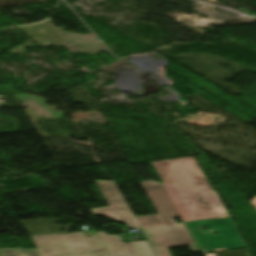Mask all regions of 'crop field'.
Here are the masks:
<instances>
[{
    "label": "crop field",
    "mask_w": 256,
    "mask_h": 256,
    "mask_svg": "<svg viewBox=\"0 0 256 256\" xmlns=\"http://www.w3.org/2000/svg\"><path fill=\"white\" fill-rule=\"evenodd\" d=\"M162 183L200 252L246 247L217 191L201 172L194 157L152 162ZM206 225L218 232L203 233Z\"/></svg>",
    "instance_id": "8a807250"
},
{
    "label": "crop field",
    "mask_w": 256,
    "mask_h": 256,
    "mask_svg": "<svg viewBox=\"0 0 256 256\" xmlns=\"http://www.w3.org/2000/svg\"><path fill=\"white\" fill-rule=\"evenodd\" d=\"M159 215L137 217L157 256H171L168 248L190 245L199 252L184 223H176L179 217L175 207L159 182H141ZM142 230V231H143Z\"/></svg>",
    "instance_id": "ac0d7876"
},
{
    "label": "crop field",
    "mask_w": 256,
    "mask_h": 256,
    "mask_svg": "<svg viewBox=\"0 0 256 256\" xmlns=\"http://www.w3.org/2000/svg\"><path fill=\"white\" fill-rule=\"evenodd\" d=\"M32 239L43 256H110L99 236L87 237L84 232L40 235Z\"/></svg>",
    "instance_id": "34b2d1b8"
},
{
    "label": "crop field",
    "mask_w": 256,
    "mask_h": 256,
    "mask_svg": "<svg viewBox=\"0 0 256 256\" xmlns=\"http://www.w3.org/2000/svg\"><path fill=\"white\" fill-rule=\"evenodd\" d=\"M95 182L109 207L91 209L93 215L104 214L130 228H138L113 181L95 180Z\"/></svg>",
    "instance_id": "412701ff"
},
{
    "label": "crop field",
    "mask_w": 256,
    "mask_h": 256,
    "mask_svg": "<svg viewBox=\"0 0 256 256\" xmlns=\"http://www.w3.org/2000/svg\"><path fill=\"white\" fill-rule=\"evenodd\" d=\"M98 234L111 256H154L145 241L123 244L119 235Z\"/></svg>",
    "instance_id": "f4fd0767"
},
{
    "label": "crop field",
    "mask_w": 256,
    "mask_h": 256,
    "mask_svg": "<svg viewBox=\"0 0 256 256\" xmlns=\"http://www.w3.org/2000/svg\"><path fill=\"white\" fill-rule=\"evenodd\" d=\"M3 256H42L38 249L0 248Z\"/></svg>",
    "instance_id": "dd49c442"
},
{
    "label": "crop field",
    "mask_w": 256,
    "mask_h": 256,
    "mask_svg": "<svg viewBox=\"0 0 256 256\" xmlns=\"http://www.w3.org/2000/svg\"><path fill=\"white\" fill-rule=\"evenodd\" d=\"M256 208V197H254L251 201H250Z\"/></svg>",
    "instance_id": "e52e79f7"
},
{
    "label": "crop field",
    "mask_w": 256,
    "mask_h": 256,
    "mask_svg": "<svg viewBox=\"0 0 256 256\" xmlns=\"http://www.w3.org/2000/svg\"><path fill=\"white\" fill-rule=\"evenodd\" d=\"M0 256H2L1 253H0Z\"/></svg>",
    "instance_id": "d8731c3e"
}]
</instances>
